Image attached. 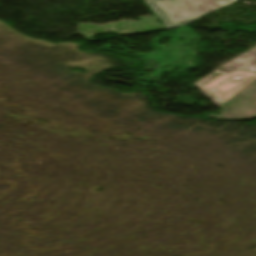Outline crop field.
Masks as SVG:
<instances>
[{
  "label": "crop field",
  "instance_id": "8a807250",
  "mask_svg": "<svg viewBox=\"0 0 256 256\" xmlns=\"http://www.w3.org/2000/svg\"><path fill=\"white\" fill-rule=\"evenodd\" d=\"M167 29L189 24L226 6L223 0H147Z\"/></svg>",
  "mask_w": 256,
  "mask_h": 256
},
{
  "label": "crop field",
  "instance_id": "ac0d7876",
  "mask_svg": "<svg viewBox=\"0 0 256 256\" xmlns=\"http://www.w3.org/2000/svg\"><path fill=\"white\" fill-rule=\"evenodd\" d=\"M255 79V72L236 70L217 76L200 88L215 96L218 101L225 102Z\"/></svg>",
  "mask_w": 256,
  "mask_h": 256
},
{
  "label": "crop field",
  "instance_id": "34b2d1b8",
  "mask_svg": "<svg viewBox=\"0 0 256 256\" xmlns=\"http://www.w3.org/2000/svg\"><path fill=\"white\" fill-rule=\"evenodd\" d=\"M216 118L256 117V80L224 103L223 113Z\"/></svg>",
  "mask_w": 256,
  "mask_h": 256
},
{
  "label": "crop field",
  "instance_id": "412701ff",
  "mask_svg": "<svg viewBox=\"0 0 256 256\" xmlns=\"http://www.w3.org/2000/svg\"><path fill=\"white\" fill-rule=\"evenodd\" d=\"M256 58V48L250 51L249 53L241 56L240 58L236 59L235 61L224 65L217 71H215L212 75L206 77L199 83H197V86H200L208 81H210L212 78H214L217 75H222L231 71H234L236 69H245V70H250V71H255L256 72V67L254 65Z\"/></svg>",
  "mask_w": 256,
  "mask_h": 256
},
{
  "label": "crop field",
  "instance_id": "f4fd0767",
  "mask_svg": "<svg viewBox=\"0 0 256 256\" xmlns=\"http://www.w3.org/2000/svg\"><path fill=\"white\" fill-rule=\"evenodd\" d=\"M237 0H225V2L227 3V6L236 2Z\"/></svg>",
  "mask_w": 256,
  "mask_h": 256
}]
</instances>
